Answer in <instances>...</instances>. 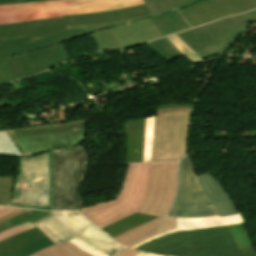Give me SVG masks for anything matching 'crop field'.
Returning a JSON list of instances; mask_svg holds the SVG:
<instances>
[{
	"instance_id": "obj_7",
	"label": "crop field",
	"mask_w": 256,
	"mask_h": 256,
	"mask_svg": "<svg viewBox=\"0 0 256 256\" xmlns=\"http://www.w3.org/2000/svg\"><path fill=\"white\" fill-rule=\"evenodd\" d=\"M87 156L78 146L52 151V211H78Z\"/></svg>"
},
{
	"instance_id": "obj_20",
	"label": "crop field",
	"mask_w": 256,
	"mask_h": 256,
	"mask_svg": "<svg viewBox=\"0 0 256 256\" xmlns=\"http://www.w3.org/2000/svg\"><path fill=\"white\" fill-rule=\"evenodd\" d=\"M53 244L51 240H49L46 236L26 245L23 246L9 254H6L4 256H26L31 255L49 245Z\"/></svg>"
},
{
	"instance_id": "obj_33",
	"label": "crop field",
	"mask_w": 256,
	"mask_h": 256,
	"mask_svg": "<svg viewBox=\"0 0 256 256\" xmlns=\"http://www.w3.org/2000/svg\"><path fill=\"white\" fill-rule=\"evenodd\" d=\"M36 1H47V0H9V1H1L0 5L9 4V3H28V2H36Z\"/></svg>"
},
{
	"instance_id": "obj_18",
	"label": "crop field",
	"mask_w": 256,
	"mask_h": 256,
	"mask_svg": "<svg viewBox=\"0 0 256 256\" xmlns=\"http://www.w3.org/2000/svg\"><path fill=\"white\" fill-rule=\"evenodd\" d=\"M31 256H91L67 241L64 244L51 245Z\"/></svg>"
},
{
	"instance_id": "obj_6",
	"label": "crop field",
	"mask_w": 256,
	"mask_h": 256,
	"mask_svg": "<svg viewBox=\"0 0 256 256\" xmlns=\"http://www.w3.org/2000/svg\"><path fill=\"white\" fill-rule=\"evenodd\" d=\"M11 206L51 210V151L19 158Z\"/></svg>"
},
{
	"instance_id": "obj_8",
	"label": "crop field",
	"mask_w": 256,
	"mask_h": 256,
	"mask_svg": "<svg viewBox=\"0 0 256 256\" xmlns=\"http://www.w3.org/2000/svg\"><path fill=\"white\" fill-rule=\"evenodd\" d=\"M144 3L143 0H59L0 6V24L70 14L106 11Z\"/></svg>"
},
{
	"instance_id": "obj_32",
	"label": "crop field",
	"mask_w": 256,
	"mask_h": 256,
	"mask_svg": "<svg viewBox=\"0 0 256 256\" xmlns=\"http://www.w3.org/2000/svg\"><path fill=\"white\" fill-rule=\"evenodd\" d=\"M140 251L137 250H129V249H124L122 250L119 254L116 256H135L139 253Z\"/></svg>"
},
{
	"instance_id": "obj_17",
	"label": "crop field",
	"mask_w": 256,
	"mask_h": 256,
	"mask_svg": "<svg viewBox=\"0 0 256 256\" xmlns=\"http://www.w3.org/2000/svg\"><path fill=\"white\" fill-rule=\"evenodd\" d=\"M44 234L37 228L18 234L0 242V256L26 245Z\"/></svg>"
},
{
	"instance_id": "obj_9",
	"label": "crop field",
	"mask_w": 256,
	"mask_h": 256,
	"mask_svg": "<svg viewBox=\"0 0 256 256\" xmlns=\"http://www.w3.org/2000/svg\"><path fill=\"white\" fill-rule=\"evenodd\" d=\"M33 225L55 244L75 237L108 256H113L122 248L79 213L51 212Z\"/></svg>"
},
{
	"instance_id": "obj_34",
	"label": "crop field",
	"mask_w": 256,
	"mask_h": 256,
	"mask_svg": "<svg viewBox=\"0 0 256 256\" xmlns=\"http://www.w3.org/2000/svg\"><path fill=\"white\" fill-rule=\"evenodd\" d=\"M161 40L170 47L179 57L183 56V54L175 47L173 46L165 37L161 38Z\"/></svg>"
},
{
	"instance_id": "obj_11",
	"label": "crop field",
	"mask_w": 256,
	"mask_h": 256,
	"mask_svg": "<svg viewBox=\"0 0 256 256\" xmlns=\"http://www.w3.org/2000/svg\"><path fill=\"white\" fill-rule=\"evenodd\" d=\"M190 112L155 115L151 161L178 160L185 154Z\"/></svg>"
},
{
	"instance_id": "obj_29",
	"label": "crop field",
	"mask_w": 256,
	"mask_h": 256,
	"mask_svg": "<svg viewBox=\"0 0 256 256\" xmlns=\"http://www.w3.org/2000/svg\"><path fill=\"white\" fill-rule=\"evenodd\" d=\"M0 78L3 83L15 80L5 59L0 60Z\"/></svg>"
},
{
	"instance_id": "obj_35",
	"label": "crop field",
	"mask_w": 256,
	"mask_h": 256,
	"mask_svg": "<svg viewBox=\"0 0 256 256\" xmlns=\"http://www.w3.org/2000/svg\"><path fill=\"white\" fill-rule=\"evenodd\" d=\"M16 209L17 208L7 207L4 210L0 211V217L6 215V214H8V213H10V212H12V211H14Z\"/></svg>"
},
{
	"instance_id": "obj_5",
	"label": "crop field",
	"mask_w": 256,
	"mask_h": 256,
	"mask_svg": "<svg viewBox=\"0 0 256 256\" xmlns=\"http://www.w3.org/2000/svg\"><path fill=\"white\" fill-rule=\"evenodd\" d=\"M87 138L85 119L48 126L0 131V156L31 154L78 145Z\"/></svg>"
},
{
	"instance_id": "obj_28",
	"label": "crop field",
	"mask_w": 256,
	"mask_h": 256,
	"mask_svg": "<svg viewBox=\"0 0 256 256\" xmlns=\"http://www.w3.org/2000/svg\"><path fill=\"white\" fill-rule=\"evenodd\" d=\"M192 104L157 105V114L173 111H191Z\"/></svg>"
},
{
	"instance_id": "obj_4",
	"label": "crop field",
	"mask_w": 256,
	"mask_h": 256,
	"mask_svg": "<svg viewBox=\"0 0 256 256\" xmlns=\"http://www.w3.org/2000/svg\"><path fill=\"white\" fill-rule=\"evenodd\" d=\"M137 250L168 256H256L253 247L239 251L225 226L175 232Z\"/></svg>"
},
{
	"instance_id": "obj_19",
	"label": "crop field",
	"mask_w": 256,
	"mask_h": 256,
	"mask_svg": "<svg viewBox=\"0 0 256 256\" xmlns=\"http://www.w3.org/2000/svg\"><path fill=\"white\" fill-rule=\"evenodd\" d=\"M196 0H145L150 12H159L176 8L181 10L191 6Z\"/></svg>"
},
{
	"instance_id": "obj_38",
	"label": "crop field",
	"mask_w": 256,
	"mask_h": 256,
	"mask_svg": "<svg viewBox=\"0 0 256 256\" xmlns=\"http://www.w3.org/2000/svg\"><path fill=\"white\" fill-rule=\"evenodd\" d=\"M4 208H5V207H1V206H0V210H2V209H4Z\"/></svg>"
},
{
	"instance_id": "obj_12",
	"label": "crop field",
	"mask_w": 256,
	"mask_h": 256,
	"mask_svg": "<svg viewBox=\"0 0 256 256\" xmlns=\"http://www.w3.org/2000/svg\"><path fill=\"white\" fill-rule=\"evenodd\" d=\"M256 8V0H207L179 11L192 26Z\"/></svg>"
},
{
	"instance_id": "obj_16",
	"label": "crop field",
	"mask_w": 256,
	"mask_h": 256,
	"mask_svg": "<svg viewBox=\"0 0 256 256\" xmlns=\"http://www.w3.org/2000/svg\"><path fill=\"white\" fill-rule=\"evenodd\" d=\"M157 217L145 215V214H139V213H134L104 229L106 234H108L111 237H115L139 224H142L144 222L150 221L152 219H155Z\"/></svg>"
},
{
	"instance_id": "obj_23",
	"label": "crop field",
	"mask_w": 256,
	"mask_h": 256,
	"mask_svg": "<svg viewBox=\"0 0 256 256\" xmlns=\"http://www.w3.org/2000/svg\"><path fill=\"white\" fill-rule=\"evenodd\" d=\"M154 116L146 117L143 162L150 161Z\"/></svg>"
},
{
	"instance_id": "obj_14",
	"label": "crop field",
	"mask_w": 256,
	"mask_h": 256,
	"mask_svg": "<svg viewBox=\"0 0 256 256\" xmlns=\"http://www.w3.org/2000/svg\"><path fill=\"white\" fill-rule=\"evenodd\" d=\"M145 118L128 121L126 162H142Z\"/></svg>"
},
{
	"instance_id": "obj_21",
	"label": "crop field",
	"mask_w": 256,
	"mask_h": 256,
	"mask_svg": "<svg viewBox=\"0 0 256 256\" xmlns=\"http://www.w3.org/2000/svg\"><path fill=\"white\" fill-rule=\"evenodd\" d=\"M15 176H0V204L10 206Z\"/></svg>"
},
{
	"instance_id": "obj_39",
	"label": "crop field",
	"mask_w": 256,
	"mask_h": 256,
	"mask_svg": "<svg viewBox=\"0 0 256 256\" xmlns=\"http://www.w3.org/2000/svg\"><path fill=\"white\" fill-rule=\"evenodd\" d=\"M0 84H2V81L0 80Z\"/></svg>"
},
{
	"instance_id": "obj_1",
	"label": "crop field",
	"mask_w": 256,
	"mask_h": 256,
	"mask_svg": "<svg viewBox=\"0 0 256 256\" xmlns=\"http://www.w3.org/2000/svg\"><path fill=\"white\" fill-rule=\"evenodd\" d=\"M171 11L149 14L142 4L0 25V59L6 58L18 80L70 59L63 42L78 36L91 33L99 50H126L162 37L149 18Z\"/></svg>"
},
{
	"instance_id": "obj_22",
	"label": "crop field",
	"mask_w": 256,
	"mask_h": 256,
	"mask_svg": "<svg viewBox=\"0 0 256 256\" xmlns=\"http://www.w3.org/2000/svg\"><path fill=\"white\" fill-rule=\"evenodd\" d=\"M147 45L166 62L178 58L160 39L147 43Z\"/></svg>"
},
{
	"instance_id": "obj_24",
	"label": "crop field",
	"mask_w": 256,
	"mask_h": 256,
	"mask_svg": "<svg viewBox=\"0 0 256 256\" xmlns=\"http://www.w3.org/2000/svg\"><path fill=\"white\" fill-rule=\"evenodd\" d=\"M166 38L175 45L185 57H187L194 64L201 59L189 48L187 47L175 34L166 36Z\"/></svg>"
},
{
	"instance_id": "obj_10",
	"label": "crop field",
	"mask_w": 256,
	"mask_h": 256,
	"mask_svg": "<svg viewBox=\"0 0 256 256\" xmlns=\"http://www.w3.org/2000/svg\"><path fill=\"white\" fill-rule=\"evenodd\" d=\"M256 10L227 17L176 35L201 59L221 53L252 20Z\"/></svg>"
},
{
	"instance_id": "obj_27",
	"label": "crop field",
	"mask_w": 256,
	"mask_h": 256,
	"mask_svg": "<svg viewBox=\"0 0 256 256\" xmlns=\"http://www.w3.org/2000/svg\"><path fill=\"white\" fill-rule=\"evenodd\" d=\"M32 228H35V226H33L30 222H27V223L18 225L14 228L7 229L4 232L0 233V241L3 240V239L8 238L10 236H13V235H16L18 233L24 232L26 230L32 229Z\"/></svg>"
},
{
	"instance_id": "obj_25",
	"label": "crop field",
	"mask_w": 256,
	"mask_h": 256,
	"mask_svg": "<svg viewBox=\"0 0 256 256\" xmlns=\"http://www.w3.org/2000/svg\"><path fill=\"white\" fill-rule=\"evenodd\" d=\"M47 213H49V212L33 210V211L26 212L24 214L18 215L16 217L10 219V221L15 226L20 223L27 222V221H30L32 223V222L38 220L39 218H41L42 216L46 215Z\"/></svg>"
},
{
	"instance_id": "obj_36",
	"label": "crop field",
	"mask_w": 256,
	"mask_h": 256,
	"mask_svg": "<svg viewBox=\"0 0 256 256\" xmlns=\"http://www.w3.org/2000/svg\"><path fill=\"white\" fill-rule=\"evenodd\" d=\"M145 254H147V253L141 252V253H139L137 256H144Z\"/></svg>"
},
{
	"instance_id": "obj_13",
	"label": "crop field",
	"mask_w": 256,
	"mask_h": 256,
	"mask_svg": "<svg viewBox=\"0 0 256 256\" xmlns=\"http://www.w3.org/2000/svg\"><path fill=\"white\" fill-rule=\"evenodd\" d=\"M242 222H245V221L242 218L241 214L236 216L224 217V218H220L219 215L214 217H207V218H177V229L166 231L161 234L155 235L131 247V249H134L155 238H158L163 235H166L175 231H179V230L200 229V228H207V227H214V226H221V225L237 224Z\"/></svg>"
},
{
	"instance_id": "obj_37",
	"label": "crop field",
	"mask_w": 256,
	"mask_h": 256,
	"mask_svg": "<svg viewBox=\"0 0 256 256\" xmlns=\"http://www.w3.org/2000/svg\"><path fill=\"white\" fill-rule=\"evenodd\" d=\"M146 256H158V255L148 253Z\"/></svg>"
},
{
	"instance_id": "obj_15",
	"label": "crop field",
	"mask_w": 256,
	"mask_h": 256,
	"mask_svg": "<svg viewBox=\"0 0 256 256\" xmlns=\"http://www.w3.org/2000/svg\"><path fill=\"white\" fill-rule=\"evenodd\" d=\"M150 19L163 36L190 29L178 11Z\"/></svg>"
},
{
	"instance_id": "obj_31",
	"label": "crop field",
	"mask_w": 256,
	"mask_h": 256,
	"mask_svg": "<svg viewBox=\"0 0 256 256\" xmlns=\"http://www.w3.org/2000/svg\"><path fill=\"white\" fill-rule=\"evenodd\" d=\"M70 242L75 244L76 246H78L79 248L83 249L84 251H86L87 253H89L93 256H106V255L92 249L91 247L87 246L86 244L80 242L79 240H77L75 238L70 240Z\"/></svg>"
},
{
	"instance_id": "obj_3",
	"label": "crop field",
	"mask_w": 256,
	"mask_h": 256,
	"mask_svg": "<svg viewBox=\"0 0 256 256\" xmlns=\"http://www.w3.org/2000/svg\"><path fill=\"white\" fill-rule=\"evenodd\" d=\"M215 214L223 217L239 212L228 193L209 171L197 176L187 155L180 162L178 193L168 215L200 217Z\"/></svg>"
},
{
	"instance_id": "obj_2",
	"label": "crop field",
	"mask_w": 256,
	"mask_h": 256,
	"mask_svg": "<svg viewBox=\"0 0 256 256\" xmlns=\"http://www.w3.org/2000/svg\"><path fill=\"white\" fill-rule=\"evenodd\" d=\"M176 162L129 164L116 199L81 208L100 229L134 213L159 217L114 239L125 246L156 229L169 209L176 188Z\"/></svg>"
},
{
	"instance_id": "obj_30",
	"label": "crop field",
	"mask_w": 256,
	"mask_h": 256,
	"mask_svg": "<svg viewBox=\"0 0 256 256\" xmlns=\"http://www.w3.org/2000/svg\"><path fill=\"white\" fill-rule=\"evenodd\" d=\"M26 211H29V210H26V209H18L16 210L15 212L3 217L0 219V231H4L5 229L7 228H10V227H14V225L8 220L9 218L15 216V215H18V214H21V213H24Z\"/></svg>"
},
{
	"instance_id": "obj_26",
	"label": "crop field",
	"mask_w": 256,
	"mask_h": 256,
	"mask_svg": "<svg viewBox=\"0 0 256 256\" xmlns=\"http://www.w3.org/2000/svg\"><path fill=\"white\" fill-rule=\"evenodd\" d=\"M174 228H176V218L166 217L155 233L131 243L129 246H127V248H129V247H131V246H133V245H135V244H137V243H139V242H141V241H143V240H145V239H147V238H149V237H151L155 234L161 233V232L166 231V230L174 229Z\"/></svg>"
}]
</instances>
